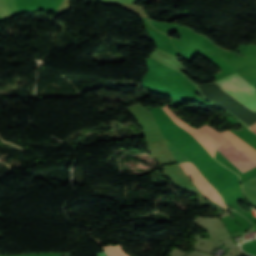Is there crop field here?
Masks as SVG:
<instances>
[{"label":"crop field","instance_id":"crop-field-5","mask_svg":"<svg viewBox=\"0 0 256 256\" xmlns=\"http://www.w3.org/2000/svg\"><path fill=\"white\" fill-rule=\"evenodd\" d=\"M0 17L2 21L12 18V14L8 10L4 0H0Z\"/></svg>","mask_w":256,"mask_h":256},{"label":"crop field","instance_id":"crop-field-3","mask_svg":"<svg viewBox=\"0 0 256 256\" xmlns=\"http://www.w3.org/2000/svg\"><path fill=\"white\" fill-rule=\"evenodd\" d=\"M183 168L187 176H191L193 178V183L202 191V193L209 197V199L217 202L223 208L228 209L223 201L221 200L219 194L216 190L208 183V181L200 174V172L195 168V166L191 162H181L179 163Z\"/></svg>","mask_w":256,"mask_h":256},{"label":"crop field","instance_id":"crop-field-4","mask_svg":"<svg viewBox=\"0 0 256 256\" xmlns=\"http://www.w3.org/2000/svg\"><path fill=\"white\" fill-rule=\"evenodd\" d=\"M108 256H128L123 249L121 248L120 244L112 245V246H106L103 247Z\"/></svg>","mask_w":256,"mask_h":256},{"label":"crop field","instance_id":"crop-field-6","mask_svg":"<svg viewBox=\"0 0 256 256\" xmlns=\"http://www.w3.org/2000/svg\"><path fill=\"white\" fill-rule=\"evenodd\" d=\"M249 128L256 132V124L252 125V126L249 127Z\"/></svg>","mask_w":256,"mask_h":256},{"label":"crop field","instance_id":"crop-field-2","mask_svg":"<svg viewBox=\"0 0 256 256\" xmlns=\"http://www.w3.org/2000/svg\"><path fill=\"white\" fill-rule=\"evenodd\" d=\"M222 89L240 102L256 111V89L238 74H232L217 81Z\"/></svg>","mask_w":256,"mask_h":256},{"label":"crop field","instance_id":"crop-field-1","mask_svg":"<svg viewBox=\"0 0 256 256\" xmlns=\"http://www.w3.org/2000/svg\"><path fill=\"white\" fill-rule=\"evenodd\" d=\"M199 129L207 134L213 140L217 150L242 172L256 166L254 162H252L221 133L206 124L201 126Z\"/></svg>","mask_w":256,"mask_h":256}]
</instances>
